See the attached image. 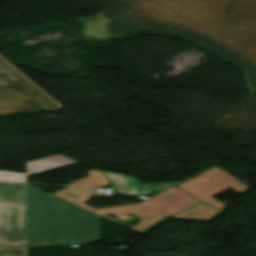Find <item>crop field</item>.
I'll list each match as a JSON object with an SVG mask.
<instances>
[{
  "instance_id": "obj_10",
  "label": "crop field",
  "mask_w": 256,
  "mask_h": 256,
  "mask_svg": "<svg viewBox=\"0 0 256 256\" xmlns=\"http://www.w3.org/2000/svg\"><path fill=\"white\" fill-rule=\"evenodd\" d=\"M87 173L89 175L88 177L78 180L67 186H70L79 190L87 191L94 187L111 184L110 181L107 179V177L104 175V173L101 171L91 170V171H87Z\"/></svg>"
},
{
  "instance_id": "obj_4",
  "label": "crop field",
  "mask_w": 256,
  "mask_h": 256,
  "mask_svg": "<svg viewBox=\"0 0 256 256\" xmlns=\"http://www.w3.org/2000/svg\"><path fill=\"white\" fill-rule=\"evenodd\" d=\"M193 196L223 211L228 206L211 197L231 188L244 194L250 187L237 181L219 167H213L177 186Z\"/></svg>"
},
{
  "instance_id": "obj_1",
  "label": "crop field",
  "mask_w": 256,
  "mask_h": 256,
  "mask_svg": "<svg viewBox=\"0 0 256 256\" xmlns=\"http://www.w3.org/2000/svg\"><path fill=\"white\" fill-rule=\"evenodd\" d=\"M29 244L100 239L99 216L27 184Z\"/></svg>"
},
{
  "instance_id": "obj_9",
  "label": "crop field",
  "mask_w": 256,
  "mask_h": 256,
  "mask_svg": "<svg viewBox=\"0 0 256 256\" xmlns=\"http://www.w3.org/2000/svg\"><path fill=\"white\" fill-rule=\"evenodd\" d=\"M27 164V175L42 172L50 169L64 167L68 165L77 164L76 162L69 160L61 155L41 159L37 161L28 162Z\"/></svg>"
},
{
  "instance_id": "obj_6",
  "label": "crop field",
  "mask_w": 256,
  "mask_h": 256,
  "mask_svg": "<svg viewBox=\"0 0 256 256\" xmlns=\"http://www.w3.org/2000/svg\"><path fill=\"white\" fill-rule=\"evenodd\" d=\"M105 174L107 175V177L110 179L112 184L120 193H124L128 195L157 193L175 184V183H164V184L140 185L135 178L113 174L109 172H105Z\"/></svg>"
},
{
  "instance_id": "obj_3",
  "label": "crop field",
  "mask_w": 256,
  "mask_h": 256,
  "mask_svg": "<svg viewBox=\"0 0 256 256\" xmlns=\"http://www.w3.org/2000/svg\"><path fill=\"white\" fill-rule=\"evenodd\" d=\"M60 107L0 57V115Z\"/></svg>"
},
{
  "instance_id": "obj_2",
  "label": "crop field",
  "mask_w": 256,
  "mask_h": 256,
  "mask_svg": "<svg viewBox=\"0 0 256 256\" xmlns=\"http://www.w3.org/2000/svg\"><path fill=\"white\" fill-rule=\"evenodd\" d=\"M63 200H66L70 203H73L77 206H80L84 209H87L91 212H94L98 215H101L117 224L120 222L113 220L103 213L114 214L117 216L116 219L120 220H132L131 218L126 215V212L140 215L139 220H142L139 224L135 225L134 227L125 225V227L140 232L161 218L165 216H171L183 209H186L198 202L199 200L193 198L192 196L184 193L183 191L173 187L141 204L136 205H128V206H121V207H113V208H106V209H98L93 210L85 205V202L88 201L86 198L88 193H84L81 191L73 190L70 188H66L60 192L53 194Z\"/></svg>"
},
{
  "instance_id": "obj_8",
  "label": "crop field",
  "mask_w": 256,
  "mask_h": 256,
  "mask_svg": "<svg viewBox=\"0 0 256 256\" xmlns=\"http://www.w3.org/2000/svg\"><path fill=\"white\" fill-rule=\"evenodd\" d=\"M221 211H218L211 206L200 203L197 204L171 218L173 219H184V220H203L211 221L215 218Z\"/></svg>"
},
{
  "instance_id": "obj_12",
  "label": "crop field",
  "mask_w": 256,
  "mask_h": 256,
  "mask_svg": "<svg viewBox=\"0 0 256 256\" xmlns=\"http://www.w3.org/2000/svg\"><path fill=\"white\" fill-rule=\"evenodd\" d=\"M0 180L25 182L26 174L0 172Z\"/></svg>"
},
{
  "instance_id": "obj_7",
  "label": "crop field",
  "mask_w": 256,
  "mask_h": 256,
  "mask_svg": "<svg viewBox=\"0 0 256 256\" xmlns=\"http://www.w3.org/2000/svg\"><path fill=\"white\" fill-rule=\"evenodd\" d=\"M0 203L26 204V184L0 183Z\"/></svg>"
},
{
  "instance_id": "obj_5",
  "label": "crop field",
  "mask_w": 256,
  "mask_h": 256,
  "mask_svg": "<svg viewBox=\"0 0 256 256\" xmlns=\"http://www.w3.org/2000/svg\"><path fill=\"white\" fill-rule=\"evenodd\" d=\"M28 244L26 205L0 204V245Z\"/></svg>"
},
{
  "instance_id": "obj_11",
  "label": "crop field",
  "mask_w": 256,
  "mask_h": 256,
  "mask_svg": "<svg viewBox=\"0 0 256 256\" xmlns=\"http://www.w3.org/2000/svg\"><path fill=\"white\" fill-rule=\"evenodd\" d=\"M10 253L15 256H27V247H0V256H10Z\"/></svg>"
}]
</instances>
